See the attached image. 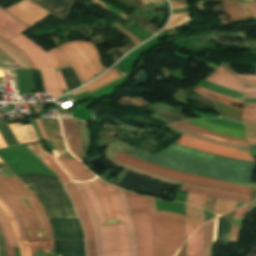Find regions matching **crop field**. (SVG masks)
Listing matches in <instances>:
<instances>
[{
	"label": "crop field",
	"instance_id": "obj_43",
	"mask_svg": "<svg viewBox=\"0 0 256 256\" xmlns=\"http://www.w3.org/2000/svg\"><path fill=\"white\" fill-rule=\"evenodd\" d=\"M242 117L256 118V108L243 107V116Z\"/></svg>",
	"mask_w": 256,
	"mask_h": 256
},
{
	"label": "crop field",
	"instance_id": "obj_55",
	"mask_svg": "<svg viewBox=\"0 0 256 256\" xmlns=\"http://www.w3.org/2000/svg\"><path fill=\"white\" fill-rule=\"evenodd\" d=\"M143 2V4L145 3H149V2H153V1H158V0H141Z\"/></svg>",
	"mask_w": 256,
	"mask_h": 256
},
{
	"label": "crop field",
	"instance_id": "obj_22",
	"mask_svg": "<svg viewBox=\"0 0 256 256\" xmlns=\"http://www.w3.org/2000/svg\"><path fill=\"white\" fill-rule=\"evenodd\" d=\"M0 208L7 215L8 219L11 222V226H12V229L14 231V234H15L18 246H19V250H20L21 256H31V252H30L28 241H22V239L20 237L18 226H17V224L15 222V219H14L13 215L8 211L6 206L1 201H0Z\"/></svg>",
	"mask_w": 256,
	"mask_h": 256
},
{
	"label": "crop field",
	"instance_id": "obj_53",
	"mask_svg": "<svg viewBox=\"0 0 256 256\" xmlns=\"http://www.w3.org/2000/svg\"><path fill=\"white\" fill-rule=\"evenodd\" d=\"M5 146H6L5 142L2 139V137L0 136V147H5Z\"/></svg>",
	"mask_w": 256,
	"mask_h": 256
},
{
	"label": "crop field",
	"instance_id": "obj_11",
	"mask_svg": "<svg viewBox=\"0 0 256 256\" xmlns=\"http://www.w3.org/2000/svg\"><path fill=\"white\" fill-rule=\"evenodd\" d=\"M206 80L231 88L233 90L256 93V89L254 88H243V83L256 85V75L233 73L219 67Z\"/></svg>",
	"mask_w": 256,
	"mask_h": 256
},
{
	"label": "crop field",
	"instance_id": "obj_30",
	"mask_svg": "<svg viewBox=\"0 0 256 256\" xmlns=\"http://www.w3.org/2000/svg\"><path fill=\"white\" fill-rule=\"evenodd\" d=\"M190 21H193V18L191 16L190 12L172 15V17L169 21V24L167 25V27L164 30L178 28L183 23L190 22Z\"/></svg>",
	"mask_w": 256,
	"mask_h": 256
},
{
	"label": "crop field",
	"instance_id": "obj_42",
	"mask_svg": "<svg viewBox=\"0 0 256 256\" xmlns=\"http://www.w3.org/2000/svg\"><path fill=\"white\" fill-rule=\"evenodd\" d=\"M246 207L247 205L236 210L233 222L242 225V222L246 214Z\"/></svg>",
	"mask_w": 256,
	"mask_h": 256
},
{
	"label": "crop field",
	"instance_id": "obj_3",
	"mask_svg": "<svg viewBox=\"0 0 256 256\" xmlns=\"http://www.w3.org/2000/svg\"><path fill=\"white\" fill-rule=\"evenodd\" d=\"M146 199L154 238V256H174L186 240L185 216L156 212L155 199Z\"/></svg>",
	"mask_w": 256,
	"mask_h": 256
},
{
	"label": "crop field",
	"instance_id": "obj_27",
	"mask_svg": "<svg viewBox=\"0 0 256 256\" xmlns=\"http://www.w3.org/2000/svg\"><path fill=\"white\" fill-rule=\"evenodd\" d=\"M76 187H77V190L81 196V198L83 199L84 203H85V206L87 208V211H88V214L90 216V219H91V223H92V227L94 229V236H95V245H96V255L97 256H101L100 255V247H99V239H98V230H97V226H96V223H95V219H94V216H93V213H92V210H91V207L87 201V198L83 192V190L81 189L79 183H75Z\"/></svg>",
	"mask_w": 256,
	"mask_h": 256
},
{
	"label": "crop field",
	"instance_id": "obj_20",
	"mask_svg": "<svg viewBox=\"0 0 256 256\" xmlns=\"http://www.w3.org/2000/svg\"><path fill=\"white\" fill-rule=\"evenodd\" d=\"M41 121L43 123L46 134L48 135L51 143L53 144L58 154L64 152L65 148L60 135L57 120L41 119Z\"/></svg>",
	"mask_w": 256,
	"mask_h": 256
},
{
	"label": "crop field",
	"instance_id": "obj_36",
	"mask_svg": "<svg viewBox=\"0 0 256 256\" xmlns=\"http://www.w3.org/2000/svg\"><path fill=\"white\" fill-rule=\"evenodd\" d=\"M205 198L203 196H198V195H194V194H188V198H187V202L188 204H192V205H196V206H200L203 208L204 206V202H205Z\"/></svg>",
	"mask_w": 256,
	"mask_h": 256
},
{
	"label": "crop field",
	"instance_id": "obj_57",
	"mask_svg": "<svg viewBox=\"0 0 256 256\" xmlns=\"http://www.w3.org/2000/svg\"><path fill=\"white\" fill-rule=\"evenodd\" d=\"M231 1H234V2H241L240 0H231Z\"/></svg>",
	"mask_w": 256,
	"mask_h": 256
},
{
	"label": "crop field",
	"instance_id": "obj_47",
	"mask_svg": "<svg viewBox=\"0 0 256 256\" xmlns=\"http://www.w3.org/2000/svg\"><path fill=\"white\" fill-rule=\"evenodd\" d=\"M0 231H1V235H2V237L4 239V242H5V247H6L7 255L8 256H15L14 248L10 249V250H8V248H7V244H6V241H5V237H4V233H3V230L1 228V225H0Z\"/></svg>",
	"mask_w": 256,
	"mask_h": 256
},
{
	"label": "crop field",
	"instance_id": "obj_28",
	"mask_svg": "<svg viewBox=\"0 0 256 256\" xmlns=\"http://www.w3.org/2000/svg\"><path fill=\"white\" fill-rule=\"evenodd\" d=\"M0 222L6 236L8 248L10 249V248L16 247L17 245H16L15 237L11 229L10 223L1 209H0Z\"/></svg>",
	"mask_w": 256,
	"mask_h": 256
},
{
	"label": "crop field",
	"instance_id": "obj_60",
	"mask_svg": "<svg viewBox=\"0 0 256 256\" xmlns=\"http://www.w3.org/2000/svg\"><path fill=\"white\" fill-rule=\"evenodd\" d=\"M215 1H219V0H215Z\"/></svg>",
	"mask_w": 256,
	"mask_h": 256
},
{
	"label": "crop field",
	"instance_id": "obj_7",
	"mask_svg": "<svg viewBox=\"0 0 256 256\" xmlns=\"http://www.w3.org/2000/svg\"><path fill=\"white\" fill-rule=\"evenodd\" d=\"M59 49L74 66L83 83L105 69L96 49L88 42L74 41L59 46Z\"/></svg>",
	"mask_w": 256,
	"mask_h": 256
},
{
	"label": "crop field",
	"instance_id": "obj_50",
	"mask_svg": "<svg viewBox=\"0 0 256 256\" xmlns=\"http://www.w3.org/2000/svg\"><path fill=\"white\" fill-rule=\"evenodd\" d=\"M246 140L249 143V145L256 144V138H246Z\"/></svg>",
	"mask_w": 256,
	"mask_h": 256
},
{
	"label": "crop field",
	"instance_id": "obj_59",
	"mask_svg": "<svg viewBox=\"0 0 256 256\" xmlns=\"http://www.w3.org/2000/svg\"><path fill=\"white\" fill-rule=\"evenodd\" d=\"M254 1V3H256V0H253Z\"/></svg>",
	"mask_w": 256,
	"mask_h": 256
},
{
	"label": "crop field",
	"instance_id": "obj_41",
	"mask_svg": "<svg viewBox=\"0 0 256 256\" xmlns=\"http://www.w3.org/2000/svg\"><path fill=\"white\" fill-rule=\"evenodd\" d=\"M0 39L3 40L4 42H6L9 46H11L19 54H21L26 59V61L32 66V68H36L35 65L32 63V61L29 59V57L24 53V51L22 49L18 48L17 46H15L14 44L9 42L8 40L3 38L2 36H0Z\"/></svg>",
	"mask_w": 256,
	"mask_h": 256
},
{
	"label": "crop field",
	"instance_id": "obj_5",
	"mask_svg": "<svg viewBox=\"0 0 256 256\" xmlns=\"http://www.w3.org/2000/svg\"><path fill=\"white\" fill-rule=\"evenodd\" d=\"M106 214L111 236L112 256H129L126 228L118 204L116 189L97 178L90 181Z\"/></svg>",
	"mask_w": 256,
	"mask_h": 256
},
{
	"label": "crop field",
	"instance_id": "obj_4",
	"mask_svg": "<svg viewBox=\"0 0 256 256\" xmlns=\"http://www.w3.org/2000/svg\"><path fill=\"white\" fill-rule=\"evenodd\" d=\"M18 177L37 197L48 218H77L71 200L59 179L38 175Z\"/></svg>",
	"mask_w": 256,
	"mask_h": 256
},
{
	"label": "crop field",
	"instance_id": "obj_56",
	"mask_svg": "<svg viewBox=\"0 0 256 256\" xmlns=\"http://www.w3.org/2000/svg\"><path fill=\"white\" fill-rule=\"evenodd\" d=\"M242 1H245V2H252V0H242Z\"/></svg>",
	"mask_w": 256,
	"mask_h": 256
},
{
	"label": "crop field",
	"instance_id": "obj_29",
	"mask_svg": "<svg viewBox=\"0 0 256 256\" xmlns=\"http://www.w3.org/2000/svg\"><path fill=\"white\" fill-rule=\"evenodd\" d=\"M62 159L75 171L82 182L94 178L77 160H66L64 157Z\"/></svg>",
	"mask_w": 256,
	"mask_h": 256
},
{
	"label": "crop field",
	"instance_id": "obj_23",
	"mask_svg": "<svg viewBox=\"0 0 256 256\" xmlns=\"http://www.w3.org/2000/svg\"><path fill=\"white\" fill-rule=\"evenodd\" d=\"M203 228L200 226L187 240L186 256H201Z\"/></svg>",
	"mask_w": 256,
	"mask_h": 256
},
{
	"label": "crop field",
	"instance_id": "obj_13",
	"mask_svg": "<svg viewBox=\"0 0 256 256\" xmlns=\"http://www.w3.org/2000/svg\"><path fill=\"white\" fill-rule=\"evenodd\" d=\"M65 186L72 197L73 203L77 209L79 218H80L83 228L85 230L86 243H87V255L88 256H96L95 255L93 229L91 227L89 216L85 210L83 201L81 200L73 182L65 184Z\"/></svg>",
	"mask_w": 256,
	"mask_h": 256
},
{
	"label": "crop field",
	"instance_id": "obj_10",
	"mask_svg": "<svg viewBox=\"0 0 256 256\" xmlns=\"http://www.w3.org/2000/svg\"><path fill=\"white\" fill-rule=\"evenodd\" d=\"M80 184L90 202L99 228L101 254L102 256H111L109 229L100 207V202L88 182Z\"/></svg>",
	"mask_w": 256,
	"mask_h": 256
},
{
	"label": "crop field",
	"instance_id": "obj_19",
	"mask_svg": "<svg viewBox=\"0 0 256 256\" xmlns=\"http://www.w3.org/2000/svg\"><path fill=\"white\" fill-rule=\"evenodd\" d=\"M185 122L225 136L239 137L245 139V131L228 129L220 125L207 122L203 119H194Z\"/></svg>",
	"mask_w": 256,
	"mask_h": 256
},
{
	"label": "crop field",
	"instance_id": "obj_38",
	"mask_svg": "<svg viewBox=\"0 0 256 256\" xmlns=\"http://www.w3.org/2000/svg\"><path fill=\"white\" fill-rule=\"evenodd\" d=\"M224 9L226 10V12L228 13L231 21H235V20H241V18L239 17V15L237 14L234 4L233 3H228V4H223Z\"/></svg>",
	"mask_w": 256,
	"mask_h": 256
},
{
	"label": "crop field",
	"instance_id": "obj_54",
	"mask_svg": "<svg viewBox=\"0 0 256 256\" xmlns=\"http://www.w3.org/2000/svg\"><path fill=\"white\" fill-rule=\"evenodd\" d=\"M243 122H256V119H242Z\"/></svg>",
	"mask_w": 256,
	"mask_h": 256
},
{
	"label": "crop field",
	"instance_id": "obj_44",
	"mask_svg": "<svg viewBox=\"0 0 256 256\" xmlns=\"http://www.w3.org/2000/svg\"><path fill=\"white\" fill-rule=\"evenodd\" d=\"M239 230H240V227L233 224L229 242H235L236 243L237 237L239 235Z\"/></svg>",
	"mask_w": 256,
	"mask_h": 256
},
{
	"label": "crop field",
	"instance_id": "obj_49",
	"mask_svg": "<svg viewBox=\"0 0 256 256\" xmlns=\"http://www.w3.org/2000/svg\"><path fill=\"white\" fill-rule=\"evenodd\" d=\"M34 120H35V122H36V124H37V126H38V128H39V130H40V132H41V134H42V137H43L44 139L48 140V138H47V136H46V134H45V132H44L42 126H41L40 119H34Z\"/></svg>",
	"mask_w": 256,
	"mask_h": 256
},
{
	"label": "crop field",
	"instance_id": "obj_17",
	"mask_svg": "<svg viewBox=\"0 0 256 256\" xmlns=\"http://www.w3.org/2000/svg\"><path fill=\"white\" fill-rule=\"evenodd\" d=\"M117 189V188H116ZM119 204L122 210L123 219L127 228L130 256H136L135 232L130 218L125 192L117 189Z\"/></svg>",
	"mask_w": 256,
	"mask_h": 256
},
{
	"label": "crop field",
	"instance_id": "obj_58",
	"mask_svg": "<svg viewBox=\"0 0 256 256\" xmlns=\"http://www.w3.org/2000/svg\"><path fill=\"white\" fill-rule=\"evenodd\" d=\"M220 1H229V0H220Z\"/></svg>",
	"mask_w": 256,
	"mask_h": 256
},
{
	"label": "crop field",
	"instance_id": "obj_8",
	"mask_svg": "<svg viewBox=\"0 0 256 256\" xmlns=\"http://www.w3.org/2000/svg\"><path fill=\"white\" fill-rule=\"evenodd\" d=\"M126 195L136 231L137 256H153V238L146 199L127 192Z\"/></svg>",
	"mask_w": 256,
	"mask_h": 256
},
{
	"label": "crop field",
	"instance_id": "obj_2",
	"mask_svg": "<svg viewBox=\"0 0 256 256\" xmlns=\"http://www.w3.org/2000/svg\"><path fill=\"white\" fill-rule=\"evenodd\" d=\"M27 29L26 26L20 24L0 9V35L10 40ZM10 41L22 48L36 67L42 71L46 92L52 94L54 98L62 95V89L56 78L54 69L69 67L70 64L60 52L57 49H52L46 53L22 33Z\"/></svg>",
	"mask_w": 256,
	"mask_h": 256
},
{
	"label": "crop field",
	"instance_id": "obj_45",
	"mask_svg": "<svg viewBox=\"0 0 256 256\" xmlns=\"http://www.w3.org/2000/svg\"><path fill=\"white\" fill-rule=\"evenodd\" d=\"M59 163L64 167V169L73 177L74 181H80L77 176L70 170L67 164L59 157H57Z\"/></svg>",
	"mask_w": 256,
	"mask_h": 256
},
{
	"label": "crop field",
	"instance_id": "obj_52",
	"mask_svg": "<svg viewBox=\"0 0 256 256\" xmlns=\"http://www.w3.org/2000/svg\"><path fill=\"white\" fill-rule=\"evenodd\" d=\"M219 201H220V199L217 198L216 206H215V210H214L215 213L218 212Z\"/></svg>",
	"mask_w": 256,
	"mask_h": 256
},
{
	"label": "crop field",
	"instance_id": "obj_46",
	"mask_svg": "<svg viewBox=\"0 0 256 256\" xmlns=\"http://www.w3.org/2000/svg\"><path fill=\"white\" fill-rule=\"evenodd\" d=\"M171 4H172V9L189 6V5L187 4V1H186V0H180V1L171 0Z\"/></svg>",
	"mask_w": 256,
	"mask_h": 256
},
{
	"label": "crop field",
	"instance_id": "obj_6",
	"mask_svg": "<svg viewBox=\"0 0 256 256\" xmlns=\"http://www.w3.org/2000/svg\"><path fill=\"white\" fill-rule=\"evenodd\" d=\"M115 160L122 162L124 164L136 167L138 169L154 173L160 176H164L167 178H171L174 180L187 182L191 184L201 185L209 188H215L220 190H225L237 194H243L250 196L251 193V187L247 186H241V185H235V184H229L225 182H220L216 180H211L207 178L197 177L193 175H188L176 171L169 170L167 168H161L156 165L150 164L148 162L137 160L131 156H128L122 152L118 154V156L115 158Z\"/></svg>",
	"mask_w": 256,
	"mask_h": 256
},
{
	"label": "crop field",
	"instance_id": "obj_18",
	"mask_svg": "<svg viewBox=\"0 0 256 256\" xmlns=\"http://www.w3.org/2000/svg\"><path fill=\"white\" fill-rule=\"evenodd\" d=\"M52 15L64 19L74 5L64 0H31Z\"/></svg>",
	"mask_w": 256,
	"mask_h": 256
},
{
	"label": "crop field",
	"instance_id": "obj_48",
	"mask_svg": "<svg viewBox=\"0 0 256 256\" xmlns=\"http://www.w3.org/2000/svg\"><path fill=\"white\" fill-rule=\"evenodd\" d=\"M195 91H197V90H195ZM197 92H199V91H197ZM199 93H201V94H203V95H205V96H207V97L213 98V99H215V100H217V101H219V102H221V103H223V104H225V105H228V106H230V107H232V108H235V109H237V110H239V111L242 112V109H241V108L233 107V106H231V104H230L229 102H226V101H223V100H220V99H217V98L208 96V95H206V94H204V93H202V92H199Z\"/></svg>",
	"mask_w": 256,
	"mask_h": 256
},
{
	"label": "crop field",
	"instance_id": "obj_12",
	"mask_svg": "<svg viewBox=\"0 0 256 256\" xmlns=\"http://www.w3.org/2000/svg\"><path fill=\"white\" fill-rule=\"evenodd\" d=\"M4 10L31 29L50 15L28 0H20Z\"/></svg>",
	"mask_w": 256,
	"mask_h": 256
},
{
	"label": "crop field",
	"instance_id": "obj_32",
	"mask_svg": "<svg viewBox=\"0 0 256 256\" xmlns=\"http://www.w3.org/2000/svg\"><path fill=\"white\" fill-rule=\"evenodd\" d=\"M171 126L177 128V129H180V130H183V131H186V132L195 134V135H197V136H199V137L208 138V139L215 140V141H218V142H224V143H231V144H238V145L249 146L248 143H242V142H235V141L223 140V139H219V138L207 136V135H204V134L199 133V132H197V131H194V130H191V129L182 127V126L177 125V124H174V125H171Z\"/></svg>",
	"mask_w": 256,
	"mask_h": 256
},
{
	"label": "crop field",
	"instance_id": "obj_16",
	"mask_svg": "<svg viewBox=\"0 0 256 256\" xmlns=\"http://www.w3.org/2000/svg\"><path fill=\"white\" fill-rule=\"evenodd\" d=\"M181 190L190 192V193H194V194L229 199V200H233L236 202L248 203V201H249L248 196L232 194V193H228V192H224V191H220V190L209 189V188H204V187L195 186V185H189V184H185V183H184L183 187L181 188Z\"/></svg>",
	"mask_w": 256,
	"mask_h": 256
},
{
	"label": "crop field",
	"instance_id": "obj_21",
	"mask_svg": "<svg viewBox=\"0 0 256 256\" xmlns=\"http://www.w3.org/2000/svg\"><path fill=\"white\" fill-rule=\"evenodd\" d=\"M186 235H189L201 224L204 223L203 210L186 206Z\"/></svg>",
	"mask_w": 256,
	"mask_h": 256
},
{
	"label": "crop field",
	"instance_id": "obj_33",
	"mask_svg": "<svg viewBox=\"0 0 256 256\" xmlns=\"http://www.w3.org/2000/svg\"><path fill=\"white\" fill-rule=\"evenodd\" d=\"M0 200L8 207L10 212L14 215V217H15L17 223H18V226H19V229H20L23 240H28L24 224H23L21 218L19 217L18 213L10 205V203L6 199H4L1 195H0Z\"/></svg>",
	"mask_w": 256,
	"mask_h": 256
},
{
	"label": "crop field",
	"instance_id": "obj_31",
	"mask_svg": "<svg viewBox=\"0 0 256 256\" xmlns=\"http://www.w3.org/2000/svg\"><path fill=\"white\" fill-rule=\"evenodd\" d=\"M32 253L35 252V246H41L42 252H50V246H54L53 241H40V242H29ZM41 253L40 247H36V253L32 255H37ZM55 255L54 247H51V253H43V256ZM40 256V255H39Z\"/></svg>",
	"mask_w": 256,
	"mask_h": 256
},
{
	"label": "crop field",
	"instance_id": "obj_25",
	"mask_svg": "<svg viewBox=\"0 0 256 256\" xmlns=\"http://www.w3.org/2000/svg\"><path fill=\"white\" fill-rule=\"evenodd\" d=\"M121 78V76L116 72V70L113 68L107 72H105L103 75H101L99 78H97L92 83L84 86L83 88L87 92H93L102 86H104L107 83L113 82L117 79Z\"/></svg>",
	"mask_w": 256,
	"mask_h": 256
},
{
	"label": "crop field",
	"instance_id": "obj_14",
	"mask_svg": "<svg viewBox=\"0 0 256 256\" xmlns=\"http://www.w3.org/2000/svg\"><path fill=\"white\" fill-rule=\"evenodd\" d=\"M66 145L73 156L82 159L81 155L86 159L82 146L81 132L78 122L72 119H60ZM81 155H80V152ZM78 159V160H79Z\"/></svg>",
	"mask_w": 256,
	"mask_h": 256
},
{
	"label": "crop field",
	"instance_id": "obj_51",
	"mask_svg": "<svg viewBox=\"0 0 256 256\" xmlns=\"http://www.w3.org/2000/svg\"><path fill=\"white\" fill-rule=\"evenodd\" d=\"M245 98H256V94L245 93Z\"/></svg>",
	"mask_w": 256,
	"mask_h": 256
},
{
	"label": "crop field",
	"instance_id": "obj_35",
	"mask_svg": "<svg viewBox=\"0 0 256 256\" xmlns=\"http://www.w3.org/2000/svg\"><path fill=\"white\" fill-rule=\"evenodd\" d=\"M177 124H180V125H183V126H186V127L192 128V129H195V130H197V131H199V132H202V133H204V134H207V135H211V136L222 137V138H227V139H232V140H237V141H244V142H246V140H243V139L231 138V137H225V136H222V135H218V134H215V133H212V132L203 130V129H201V128L195 127V126H193V125H190V124H187V123H184V122L177 123Z\"/></svg>",
	"mask_w": 256,
	"mask_h": 256
},
{
	"label": "crop field",
	"instance_id": "obj_39",
	"mask_svg": "<svg viewBox=\"0 0 256 256\" xmlns=\"http://www.w3.org/2000/svg\"><path fill=\"white\" fill-rule=\"evenodd\" d=\"M195 89H196V88H195ZM197 90H200V91H202V92L211 94V95L216 96V97H218V98H220V99L227 100V101H231V102H235V103H238V104H241V105H244V106H256V103H254V104H243V101L231 99V98H228V97H224V96H221V95L216 94V93H214V92L204 90V89H202V88H200V87H197Z\"/></svg>",
	"mask_w": 256,
	"mask_h": 256
},
{
	"label": "crop field",
	"instance_id": "obj_37",
	"mask_svg": "<svg viewBox=\"0 0 256 256\" xmlns=\"http://www.w3.org/2000/svg\"><path fill=\"white\" fill-rule=\"evenodd\" d=\"M236 204H237L236 202L222 199L218 214L221 215L223 213H226L228 211L235 209Z\"/></svg>",
	"mask_w": 256,
	"mask_h": 256
},
{
	"label": "crop field",
	"instance_id": "obj_26",
	"mask_svg": "<svg viewBox=\"0 0 256 256\" xmlns=\"http://www.w3.org/2000/svg\"><path fill=\"white\" fill-rule=\"evenodd\" d=\"M0 51H2L5 55H7L18 68H31V66L24 60L22 56H20L17 52H15L12 48H10L6 43L0 40Z\"/></svg>",
	"mask_w": 256,
	"mask_h": 256
},
{
	"label": "crop field",
	"instance_id": "obj_24",
	"mask_svg": "<svg viewBox=\"0 0 256 256\" xmlns=\"http://www.w3.org/2000/svg\"><path fill=\"white\" fill-rule=\"evenodd\" d=\"M19 142L38 141L32 125L21 126L20 124H9Z\"/></svg>",
	"mask_w": 256,
	"mask_h": 256
},
{
	"label": "crop field",
	"instance_id": "obj_9",
	"mask_svg": "<svg viewBox=\"0 0 256 256\" xmlns=\"http://www.w3.org/2000/svg\"><path fill=\"white\" fill-rule=\"evenodd\" d=\"M181 135L182 136L178 140L177 144L217 155L255 161L254 158L247 153L248 149L223 146L219 144L202 141L185 134Z\"/></svg>",
	"mask_w": 256,
	"mask_h": 256
},
{
	"label": "crop field",
	"instance_id": "obj_15",
	"mask_svg": "<svg viewBox=\"0 0 256 256\" xmlns=\"http://www.w3.org/2000/svg\"><path fill=\"white\" fill-rule=\"evenodd\" d=\"M25 145L30 150L45 148L41 142L29 143ZM33 152L36 153L39 156V158L59 176L62 183L71 181V178L68 176V174L57 163L55 158L46 151V149L34 150Z\"/></svg>",
	"mask_w": 256,
	"mask_h": 256
},
{
	"label": "crop field",
	"instance_id": "obj_1",
	"mask_svg": "<svg viewBox=\"0 0 256 256\" xmlns=\"http://www.w3.org/2000/svg\"><path fill=\"white\" fill-rule=\"evenodd\" d=\"M5 163L0 159V166ZM0 194L20 214L30 241L54 239L47 217L35 196L5 165L0 167Z\"/></svg>",
	"mask_w": 256,
	"mask_h": 256
},
{
	"label": "crop field",
	"instance_id": "obj_34",
	"mask_svg": "<svg viewBox=\"0 0 256 256\" xmlns=\"http://www.w3.org/2000/svg\"><path fill=\"white\" fill-rule=\"evenodd\" d=\"M212 222L213 220L205 224L202 256H209Z\"/></svg>",
	"mask_w": 256,
	"mask_h": 256
},
{
	"label": "crop field",
	"instance_id": "obj_40",
	"mask_svg": "<svg viewBox=\"0 0 256 256\" xmlns=\"http://www.w3.org/2000/svg\"><path fill=\"white\" fill-rule=\"evenodd\" d=\"M234 4L243 21L252 19L251 15L248 13L244 4H237V3H234Z\"/></svg>",
	"mask_w": 256,
	"mask_h": 256
}]
</instances>
